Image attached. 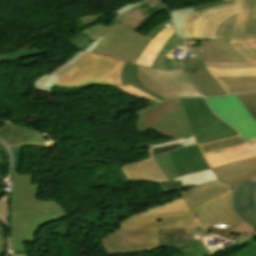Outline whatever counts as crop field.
<instances>
[{
	"label": "crop field",
	"mask_w": 256,
	"mask_h": 256,
	"mask_svg": "<svg viewBox=\"0 0 256 256\" xmlns=\"http://www.w3.org/2000/svg\"><path fill=\"white\" fill-rule=\"evenodd\" d=\"M231 192L232 190L192 208L204 225H240L244 223L232 208Z\"/></svg>",
	"instance_id": "28ad6ade"
},
{
	"label": "crop field",
	"mask_w": 256,
	"mask_h": 256,
	"mask_svg": "<svg viewBox=\"0 0 256 256\" xmlns=\"http://www.w3.org/2000/svg\"><path fill=\"white\" fill-rule=\"evenodd\" d=\"M236 256H256V245L249 249H245L244 251L236 254Z\"/></svg>",
	"instance_id": "d23c7cc5"
},
{
	"label": "crop field",
	"mask_w": 256,
	"mask_h": 256,
	"mask_svg": "<svg viewBox=\"0 0 256 256\" xmlns=\"http://www.w3.org/2000/svg\"><path fill=\"white\" fill-rule=\"evenodd\" d=\"M253 118L256 120V95L255 93L237 95Z\"/></svg>",
	"instance_id": "5866460e"
},
{
	"label": "crop field",
	"mask_w": 256,
	"mask_h": 256,
	"mask_svg": "<svg viewBox=\"0 0 256 256\" xmlns=\"http://www.w3.org/2000/svg\"><path fill=\"white\" fill-rule=\"evenodd\" d=\"M179 100L199 144L239 135L208 109L204 98Z\"/></svg>",
	"instance_id": "d8731c3e"
},
{
	"label": "crop field",
	"mask_w": 256,
	"mask_h": 256,
	"mask_svg": "<svg viewBox=\"0 0 256 256\" xmlns=\"http://www.w3.org/2000/svg\"><path fill=\"white\" fill-rule=\"evenodd\" d=\"M235 6L237 13L223 22L216 32L220 39H256V0H236L235 3L199 10L188 15L183 28L188 38H194L196 20L213 10Z\"/></svg>",
	"instance_id": "e52e79f7"
},
{
	"label": "crop field",
	"mask_w": 256,
	"mask_h": 256,
	"mask_svg": "<svg viewBox=\"0 0 256 256\" xmlns=\"http://www.w3.org/2000/svg\"><path fill=\"white\" fill-rule=\"evenodd\" d=\"M8 194L0 198V221L7 227Z\"/></svg>",
	"instance_id": "0bd39190"
},
{
	"label": "crop field",
	"mask_w": 256,
	"mask_h": 256,
	"mask_svg": "<svg viewBox=\"0 0 256 256\" xmlns=\"http://www.w3.org/2000/svg\"><path fill=\"white\" fill-rule=\"evenodd\" d=\"M232 188H234V187H232L220 180H217V181L205 183L202 185H198L196 187L190 188V189H188L184 192H181L179 194L183 198L185 203L191 209L195 205H197L201 202H204L206 200H209V199H211L219 194H222ZM196 217H197V215H196ZM198 220H199V218H198ZM203 227H204V225H203Z\"/></svg>",
	"instance_id": "d9b57169"
},
{
	"label": "crop field",
	"mask_w": 256,
	"mask_h": 256,
	"mask_svg": "<svg viewBox=\"0 0 256 256\" xmlns=\"http://www.w3.org/2000/svg\"><path fill=\"white\" fill-rule=\"evenodd\" d=\"M13 154V172H16L19 164V155L21 147L10 148Z\"/></svg>",
	"instance_id": "b54c1fbb"
},
{
	"label": "crop field",
	"mask_w": 256,
	"mask_h": 256,
	"mask_svg": "<svg viewBox=\"0 0 256 256\" xmlns=\"http://www.w3.org/2000/svg\"><path fill=\"white\" fill-rule=\"evenodd\" d=\"M154 159L165 174L168 181L181 176L174 163L172 162L168 152L156 155L154 156Z\"/></svg>",
	"instance_id": "eef30255"
},
{
	"label": "crop field",
	"mask_w": 256,
	"mask_h": 256,
	"mask_svg": "<svg viewBox=\"0 0 256 256\" xmlns=\"http://www.w3.org/2000/svg\"><path fill=\"white\" fill-rule=\"evenodd\" d=\"M102 16V15H98V16H80L82 19V22L84 24L85 27L95 23L97 21V19Z\"/></svg>",
	"instance_id": "5d738f31"
},
{
	"label": "crop field",
	"mask_w": 256,
	"mask_h": 256,
	"mask_svg": "<svg viewBox=\"0 0 256 256\" xmlns=\"http://www.w3.org/2000/svg\"><path fill=\"white\" fill-rule=\"evenodd\" d=\"M142 164L144 165L145 169L149 173L150 177L152 178L153 182H161V181H167L164 174L156 164L153 157L142 160Z\"/></svg>",
	"instance_id": "1d83c4d3"
},
{
	"label": "crop field",
	"mask_w": 256,
	"mask_h": 256,
	"mask_svg": "<svg viewBox=\"0 0 256 256\" xmlns=\"http://www.w3.org/2000/svg\"><path fill=\"white\" fill-rule=\"evenodd\" d=\"M232 50L244 62L256 61V53L248 46V40L228 41Z\"/></svg>",
	"instance_id": "ae1a2a85"
},
{
	"label": "crop field",
	"mask_w": 256,
	"mask_h": 256,
	"mask_svg": "<svg viewBox=\"0 0 256 256\" xmlns=\"http://www.w3.org/2000/svg\"><path fill=\"white\" fill-rule=\"evenodd\" d=\"M135 113L139 117L136 128L141 134L152 129L175 140L148 147L149 156L197 143L178 99L163 101Z\"/></svg>",
	"instance_id": "34b2d1b8"
},
{
	"label": "crop field",
	"mask_w": 256,
	"mask_h": 256,
	"mask_svg": "<svg viewBox=\"0 0 256 256\" xmlns=\"http://www.w3.org/2000/svg\"><path fill=\"white\" fill-rule=\"evenodd\" d=\"M172 33H174L172 26H169L159 32L142 52L136 63L150 67L157 54L160 52L162 46L165 44Z\"/></svg>",
	"instance_id": "92a150f3"
},
{
	"label": "crop field",
	"mask_w": 256,
	"mask_h": 256,
	"mask_svg": "<svg viewBox=\"0 0 256 256\" xmlns=\"http://www.w3.org/2000/svg\"><path fill=\"white\" fill-rule=\"evenodd\" d=\"M103 38H98L95 40L85 51H92L94 47L102 40Z\"/></svg>",
	"instance_id": "25e5ab78"
},
{
	"label": "crop field",
	"mask_w": 256,
	"mask_h": 256,
	"mask_svg": "<svg viewBox=\"0 0 256 256\" xmlns=\"http://www.w3.org/2000/svg\"><path fill=\"white\" fill-rule=\"evenodd\" d=\"M85 52L79 51L76 53L70 60L65 62L63 65L58 67L56 70L51 72L50 74L59 77L61 74H63L67 69H69L71 66H73L84 54Z\"/></svg>",
	"instance_id": "028f5c9d"
},
{
	"label": "crop field",
	"mask_w": 256,
	"mask_h": 256,
	"mask_svg": "<svg viewBox=\"0 0 256 256\" xmlns=\"http://www.w3.org/2000/svg\"><path fill=\"white\" fill-rule=\"evenodd\" d=\"M137 66L136 64H132V63H128L126 62L124 67H123V70H122V73H121V81H122V84L123 86H126V85H130L160 101L162 100H166L162 97H160L159 95L147 90L145 87H143L140 82L138 81L137 77H136V71H137Z\"/></svg>",
	"instance_id": "4177f3b9"
},
{
	"label": "crop field",
	"mask_w": 256,
	"mask_h": 256,
	"mask_svg": "<svg viewBox=\"0 0 256 256\" xmlns=\"http://www.w3.org/2000/svg\"><path fill=\"white\" fill-rule=\"evenodd\" d=\"M244 143L246 142L243 140V138L240 135L237 137H233V138H229V139H225V140H221V141H217V142H213L205 145H198V146L201 152L204 153V152L220 150V149H224V148H228V147H232V146H236Z\"/></svg>",
	"instance_id": "d3111659"
},
{
	"label": "crop field",
	"mask_w": 256,
	"mask_h": 256,
	"mask_svg": "<svg viewBox=\"0 0 256 256\" xmlns=\"http://www.w3.org/2000/svg\"><path fill=\"white\" fill-rule=\"evenodd\" d=\"M121 17L119 14H117V17L115 19V23L109 27H105L102 25H97L94 27H91L87 30L82 31V33H84L86 36L92 38V39H96L98 38L99 35H106L108 32H110L114 27H116L120 21Z\"/></svg>",
	"instance_id": "120bbe31"
},
{
	"label": "crop field",
	"mask_w": 256,
	"mask_h": 256,
	"mask_svg": "<svg viewBox=\"0 0 256 256\" xmlns=\"http://www.w3.org/2000/svg\"><path fill=\"white\" fill-rule=\"evenodd\" d=\"M198 226L200 222L179 197L135 214L100 240L110 255L151 251L158 249L157 229Z\"/></svg>",
	"instance_id": "8a807250"
},
{
	"label": "crop field",
	"mask_w": 256,
	"mask_h": 256,
	"mask_svg": "<svg viewBox=\"0 0 256 256\" xmlns=\"http://www.w3.org/2000/svg\"><path fill=\"white\" fill-rule=\"evenodd\" d=\"M181 175L208 169L197 145L169 151Z\"/></svg>",
	"instance_id": "5142ce71"
},
{
	"label": "crop field",
	"mask_w": 256,
	"mask_h": 256,
	"mask_svg": "<svg viewBox=\"0 0 256 256\" xmlns=\"http://www.w3.org/2000/svg\"><path fill=\"white\" fill-rule=\"evenodd\" d=\"M203 156L210 169L256 156V145L248 146L245 144L225 150L204 153Z\"/></svg>",
	"instance_id": "733c2abd"
},
{
	"label": "crop field",
	"mask_w": 256,
	"mask_h": 256,
	"mask_svg": "<svg viewBox=\"0 0 256 256\" xmlns=\"http://www.w3.org/2000/svg\"><path fill=\"white\" fill-rule=\"evenodd\" d=\"M58 78L54 77L45 87L44 89L42 90L43 92H47V93H50V91L52 90L53 88V84L56 82Z\"/></svg>",
	"instance_id": "425ffa30"
},
{
	"label": "crop field",
	"mask_w": 256,
	"mask_h": 256,
	"mask_svg": "<svg viewBox=\"0 0 256 256\" xmlns=\"http://www.w3.org/2000/svg\"><path fill=\"white\" fill-rule=\"evenodd\" d=\"M124 63L87 53L76 65L63 74L54 86L81 87L82 85L105 84L122 86L120 73Z\"/></svg>",
	"instance_id": "dd49c442"
},
{
	"label": "crop field",
	"mask_w": 256,
	"mask_h": 256,
	"mask_svg": "<svg viewBox=\"0 0 256 256\" xmlns=\"http://www.w3.org/2000/svg\"><path fill=\"white\" fill-rule=\"evenodd\" d=\"M249 45L256 52V40H249Z\"/></svg>",
	"instance_id": "73cf0c24"
},
{
	"label": "crop field",
	"mask_w": 256,
	"mask_h": 256,
	"mask_svg": "<svg viewBox=\"0 0 256 256\" xmlns=\"http://www.w3.org/2000/svg\"><path fill=\"white\" fill-rule=\"evenodd\" d=\"M212 76H251L256 75V68L251 69H223L206 66ZM232 73V74H230Z\"/></svg>",
	"instance_id": "750c4746"
},
{
	"label": "crop field",
	"mask_w": 256,
	"mask_h": 256,
	"mask_svg": "<svg viewBox=\"0 0 256 256\" xmlns=\"http://www.w3.org/2000/svg\"><path fill=\"white\" fill-rule=\"evenodd\" d=\"M174 246L182 255L180 256H204L205 253H210L206 249L203 242L199 239L183 240L159 245V249L163 247Z\"/></svg>",
	"instance_id": "00972430"
},
{
	"label": "crop field",
	"mask_w": 256,
	"mask_h": 256,
	"mask_svg": "<svg viewBox=\"0 0 256 256\" xmlns=\"http://www.w3.org/2000/svg\"><path fill=\"white\" fill-rule=\"evenodd\" d=\"M256 236V235H255ZM255 236L241 242V243H238V244H230L228 247H226L225 249H230V248H236V247H240L242 245H248L249 247H251L252 245L256 244V242L254 241V238ZM222 250L221 252H219L220 254H223V253H226L227 251L226 250Z\"/></svg>",
	"instance_id": "c21b1889"
},
{
	"label": "crop field",
	"mask_w": 256,
	"mask_h": 256,
	"mask_svg": "<svg viewBox=\"0 0 256 256\" xmlns=\"http://www.w3.org/2000/svg\"><path fill=\"white\" fill-rule=\"evenodd\" d=\"M117 88L122 90V91H124V92H126V93H128V94H130V95H134V96H138V97H142V98L158 101V100H156V99H154V98H152V97H150V96H148V95H146V94H144V93H142V92H140V91H138V90H136V89H134V88H132L130 86L117 87Z\"/></svg>",
	"instance_id": "c035e120"
},
{
	"label": "crop field",
	"mask_w": 256,
	"mask_h": 256,
	"mask_svg": "<svg viewBox=\"0 0 256 256\" xmlns=\"http://www.w3.org/2000/svg\"><path fill=\"white\" fill-rule=\"evenodd\" d=\"M169 25H171L170 19L167 20V21H165V22H163V23H161V24H159V25H157V26L147 35V37L153 39V38L155 37V35H156L159 31H161L162 29H164L165 27H167V26H169Z\"/></svg>",
	"instance_id": "03da06ac"
},
{
	"label": "crop field",
	"mask_w": 256,
	"mask_h": 256,
	"mask_svg": "<svg viewBox=\"0 0 256 256\" xmlns=\"http://www.w3.org/2000/svg\"><path fill=\"white\" fill-rule=\"evenodd\" d=\"M54 76L50 75V74H45L43 76H41L40 78H38L37 80H35L34 82H32L34 89L37 90H42L43 87L53 78Z\"/></svg>",
	"instance_id": "b80d0937"
},
{
	"label": "crop field",
	"mask_w": 256,
	"mask_h": 256,
	"mask_svg": "<svg viewBox=\"0 0 256 256\" xmlns=\"http://www.w3.org/2000/svg\"><path fill=\"white\" fill-rule=\"evenodd\" d=\"M46 54L45 51L42 50H30V51H24V52H19V53H13V54H7V55H2L3 59L6 62L10 61H15V60H21V59H26L30 57H35L39 55Z\"/></svg>",
	"instance_id": "d32e631a"
},
{
	"label": "crop field",
	"mask_w": 256,
	"mask_h": 256,
	"mask_svg": "<svg viewBox=\"0 0 256 256\" xmlns=\"http://www.w3.org/2000/svg\"><path fill=\"white\" fill-rule=\"evenodd\" d=\"M212 171L218 179L234 187L247 179L256 181V157L213 168Z\"/></svg>",
	"instance_id": "cbeb9de0"
},
{
	"label": "crop field",
	"mask_w": 256,
	"mask_h": 256,
	"mask_svg": "<svg viewBox=\"0 0 256 256\" xmlns=\"http://www.w3.org/2000/svg\"><path fill=\"white\" fill-rule=\"evenodd\" d=\"M246 142H247L248 145L256 144V138L251 139V140H247Z\"/></svg>",
	"instance_id": "1f2cbd36"
},
{
	"label": "crop field",
	"mask_w": 256,
	"mask_h": 256,
	"mask_svg": "<svg viewBox=\"0 0 256 256\" xmlns=\"http://www.w3.org/2000/svg\"><path fill=\"white\" fill-rule=\"evenodd\" d=\"M210 234V233H209ZM203 227L187 229H167L158 230L159 244L171 241L183 240V236L191 235H209Z\"/></svg>",
	"instance_id": "a9b5d70f"
},
{
	"label": "crop field",
	"mask_w": 256,
	"mask_h": 256,
	"mask_svg": "<svg viewBox=\"0 0 256 256\" xmlns=\"http://www.w3.org/2000/svg\"><path fill=\"white\" fill-rule=\"evenodd\" d=\"M205 99L211 110L240 132L244 140L256 137V122L236 95Z\"/></svg>",
	"instance_id": "3316defc"
},
{
	"label": "crop field",
	"mask_w": 256,
	"mask_h": 256,
	"mask_svg": "<svg viewBox=\"0 0 256 256\" xmlns=\"http://www.w3.org/2000/svg\"><path fill=\"white\" fill-rule=\"evenodd\" d=\"M32 178L13 173L10 241L33 242L37 228L70 216L55 201L36 200L40 185H32Z\"/></svg>",
	"instance_id": "ac0d7876"
},
{
	"label": "crop field",
	"mask_w": 256,
	"mask_h": 256,
	"mask_svg": "<svg viewBox=\"0 0 256 256\" xmlns=\"http://www.w3.org/2000/svg\"><path fill=\"white\" fill-rule=\"evenodd\" d=\"M150 41L144 35L119 25L91 53L135 63Z\"/></svg>",
	"instance_id": "5a996713"
},
{
	"label": "crop field",
	"mask_w": 256,
	"mask_h": 256,
	"mask_svg": "<svg viewBox=\"0 0 256 256\" xmlns=\"http://www.w3.org/2000/svg\"><path fill=\"white\" fill-rule=\"evenodd\" d=\"M217 177L214 175V173L210 170H205L197 173H192L188 175L181 176L175 180H172L170 182H162V189L163 194L181 190L185 188H189L201 183H205L208 181L216 180Z\"/></svg>",
	"instance_id": "bc2a9ffb"
},
{
	"label": "crop field",
	"mask_w": 256,
	"mask_h": 256,
	"mask_svg": "<svg viewBox=\"0 0 256 256\" xmlns=\"http://www.w3.org/2000/svg\"><path fill=\"white\" fill-rule=\"evenodd\" d=\"M205 65L208 66H216V67H223V68H251L256 67V62H249V63H235V64H227V63H213V62H206L203 61Z\"/></svg>",
	"instance_id": "e1f06a70"
},
{
	"label": "crop field",
	"mask_w": 256,
	"mask_h": 256,
	"mask_svg": "<svg viewBox=\"0 0 256 256\" xmlns=\"http://www.w3.org/2000/svg\"><path fill=\"white\" fill-rule=\"evenodd\" d=\"M256 182L245 181L233 190L232 205L237 215L256 230Z\"/></svg>",
	"instance_id": "d1516ede"
},
{
	"label": "crop field",
	"mask_w": 256,
	"mask_h": 256,
	"mask_svg": "<svg viewBox=\"0 0 256 256\" xmlns=\"http://www.w3.org/2000/svg\"><path fill=\"white\" fill-rule=\"evenodd\" d=\"M130 182L153 183L140 161L122 167Z\"/></svg>",
	"instance_id": "730fd06b"
},
{
	"label": "crop field",
	"mask_w": 256,
	"mask_h": 256,
	"mask_svg": "<svg viewBox=\"0 0 256 256\" xmlns=\"http://www.w3.org/2000/svg\"><path fill=\"white\" fill-rule=\"evenodd\" d=\"M183 44L184 41L174 33L161 50L166 55L158 54L150 68L139 65L137 76L141 84L167 99L201 96L183 75L180 63L170 54Z\"/></svg>",
	"instance_id": "412701ff"
},
{
	"label": "crop field",
	"mask_w": 256,
	"mask_h": 256,
	"mask_svg": "<svg viewBox=\"0 0 256 256\" xmlns=\"http://www.w3.org/2000/svg\"><path fill=\"white\" fill-rule=\"evenodd\" d=\"M194 10L192 8L187 9H179V10H172L170 11L174 30L183 38H187L186 34L182 29V22L184 18Z\"/></svg>",
	"instance_id": "bd1437ed"
},
{
	"label": "crop field",
	"mask_w": 256,
	"mask_h": 256,
	"mask_svg": "<svg viewBox=\"0 0 256 256\" xmlns=\"http://www.w3.org/2000/svg\"><path fill=\"white\" fill-rule=\"evenodd\" d=\"M0 152H3V153H8V150L0 143Z\"/></svg>",
	"instance_id": "89e229c0"
},
{
	"label": "crop field",
	"mask_w": 256,
	"mask_h": 256,
	"mask_svg": "<svg viewBox=\"0 0 256 256\" xmlns=\"http://www.w3.org/2000/svg\"><path fill=\"white\" fill-rule=\"evenodd\" d=\"M214 78L227 94H238L256 91V76Z\"/></svg>",
	"instance_id": "214f88e0"
},
{
	"label": "crop field",
	"mask_w": 256,
	"mask_h": 256,
	"mask_svg": "<svg viewBox=\"0 0 256 256\" xmlns=\"http://www.w3.org/2000/svg\"><path fill=\"white\" fill-rule=\"evenodd\" d=\"M185 49L193 50V53L191 59H188V63H182L183 71L198 90L204 96L227 95L204 67L202 60L228 63L243 62L233 53L228 42L224 40H201V47L186 46Z\"/></svg>",
	"instance_id": "f4fd0767"
},
{
	"label": "crop field",
	"mask_w": 256,
	"mask_h": 256,
	"mask_svg": "<svg viewBox=\"0 0 256 256\" xmlns=\"http://www.w3.org/2000/svg\"><path fill=\"white\" fill-rule=\"evenodd\" d=\"M0 139L9 147H38L44 148L46 140L44 136L37 131L17 127L6 123L0 127Z\"/></svg>",
	"instance_id": "22f410ed"
},
{
	"label": "crop field",
	"mask_w": 256,
	"mask_h": 256,
	"mask_svg": "<svg viewBox=\"0 0 256 256\" xmlns=\"http://www.w3.org/2000/svg\"><path fill=\"white\" fill-rule=\"evenodd\" d=\"M236 13L235 7L211 12L197 20L195 38H214L219 25Z\"/></svg>",
	"instance_id": "4a817a6b"
},
{
	"label": "crop field",
	"mask_w": 256,
	"mask_h": 256,
	"mask_svg": "<svg viewBox=\"0 0 256 256\" xmlns=\"http://www.w3.org/2000/svg\"><path fill=\"white\" fill-rule=\"evenodd\" d=\"M206 230L212 234L220 235L227 240L234 241H241L255 233L254 229L245 223L240 226H206Z\"/></svg>",
	"instance_id": "dafd665d"
},
{
	"label": "crop field",
	"mask_w": 256,
	"mask_h": 256,
	"mask_svg": "<svg viewBox=\"0 0 256 256\" xmlns=\"http://www.w3.org/2000/svg\"><path fill=\"white\" fill-rule=\"evenodd\" d=\"M10 256H27V254H14V253H10Z\"/></svg>",
	"instance_id": "dbb93151"
}]
</instances>
